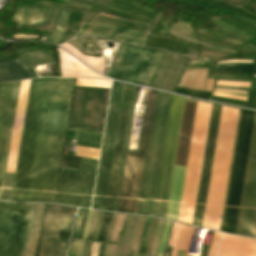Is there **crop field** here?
I'll return each instance as SVG.
<instances>
[{
    "label": "crop field",
    "instance_id": "obj_1",
    "mask_svg": "<svg viewBox=\"0 0 256 256\" xmlns=\"http://www.w3.org/2000/svg\"><path fill=\"white\" fill-rule=\"evenodd\" d=\"M73 82L48 80L28 201L54 202Z\"/></svg>",
    "mask_w": 256,
    "mask_h": 256
},
{
    "label": "crop field",
    "instance_id": "obj_2",
    "mask_svg": "<svg viewBox=\"0 0 256 256\" xmlns=\"http://www.w3.org/2000/svg\"><path fill=\"white\" fill-rule=\"evenodd\" d=\"M48 78L31 80L11 201L27 202Z\"/></svg>",
    "mask_w": 256,
    "mask_h": 256
},
{
    "label": "crop field",
    "instance_id": "obj_3",
    "mask_svg": "<svg viewBox=\"0 0 256 256\" xmlns=\"http://www.w3.org/2000/svg\"><path fill=\"white\" fill-rule=\"evenodd\" d=\"M239 110L222 108L203 226L219 230Z\"/></svg>",
    "mask_w": 256,
    "mask_h": 256
},
{
    "label": "crop field",
    "instance_id": "obj_4",
    "mask_svg": "<svg viewBox=\"0 0 256 256\" xmlns=\"http://www.w3.org/2000/svg\"><path fill=\"white\" fill-rule=\"evenodd\" d=\"M184 101V98L172 95L152 212L153 216L165 218L166 215Z\"/></svg>",
    "mask_w": 256,
    "mask_h": 256
},
{
    "label": "crop field",
    "instance_id": "obj_5",
    "mask_svg": "<svg viewBox=\"0 0 256 256\" xmlns=\"http://www.w3.org/2000/svg\"><path fill=\"white\" fill-rule=\"evenodd\" d=\"M124 87L113 81L92 208L105 207Z\"/></svg>",
    "mask_w": 256,
    "mask_h": 256
},
{
    "label": "crop field",
    "instance_id": "obj_6",
    "mask_svg": "<svg viewBox=\"0 0 256 256\" xmlns=\"http://www.w3.org/2000/svg\"><path fill=\"white\" fill-rule=\"evenodd\" d=\"M75 210L45 204L34 256H65L68 239L67 242L59 239L61 233L70 232Z\"/></svg>",
    "mask_w": 256,
    "mask_h": 256
},
{
    "label": "crop field",
    "instance_id": "obj_7",
    "mask_svg": "<svg viewBox=\"0 0 256 256\" xmlns=\"http://www.w3.org/2000/svg\"><path fill=\"white\" fill-rule=\"evenodd\" d=\"M162 53L124 44L108 76L146 86Z\"/></svg>",
    "mask_w": 256,
    "mask_h": 256
},
{
    "label": "crop field",
    "instance_id": "obj_8",
    "mask_svg": "<svg viewBox=\"0 0 256 256\" xmlns=\"http://www.w3.org/2000/svg\"><path fill=\"white\" fill-rule=\"evenodd\" d=\"M155 91L150 89L139 153L145 154ZM142 154L127 153L117 211L135 214L144 162Z\"/></svg>",
    "mask_w": 256,
    "mask_h": 256
},
{
    "label": "crop field",
    "instance_id": "obj_9",
    "mask_svg": "<svg viewBox=\"0 0 256 256\" xmlns=\"http://www.w3.org/2000/svg\"><path fill=\"white\" fill-rule=\"evenodd\" d=\"M108 92L75 87L69 126L102 132Z\"/></svg>",
    "mask_w": 256,
    "mask_h": 256
},
{
    "label": "crop field",
    "instance_id": "obj_10",
    "mask_svg": "<svg viewBox=\"0 0 256 256\" xmlns=\"http://www.w3.org/2000/svg\"><path fill=\"white\" fill-rule=\"evenodd\" d=\"M96 163L82 158L79 170L62 168L56 203L89 208Z\"/></svg>",
    "mask_w": 256,
    "mask_h": 256
},
{
    "label": "crop field",
    "instance_id": "obj_11",
    "mask_svg": "<svg viewBox=\"0 0 256 256\" xmlns=\"http://www.w3.org/2000/svg\"><path fill=\"white\" fill-rule=\"evenodd\" d=\"M31 204L0 201V256H20Z\"/></svg>",
    "mask_w": 256,
    "mask_h": 256
},
{
    "label": "crop field",
    "instance_id": "obj_12",
    "mask_svg": "<svg viewBox=\"0 0 256 256\" xmlns=\"http://www.w3.org/2000/svg\"><path fill=\"white\" fill-rule=\"evenodd\" d=\"M209 104H197L178 220L189 224Z\"/></svg>",
    "mask_w": 256,
    "mask_h": 256
},
{
    "label": "crop field",
    "instance_id": "obj_13",
    "mask_svg": "<svg viewBox=\"0 0 256 256\" xmlns=\"http://www.w3.org/2000/svg\"><path fill=\"white\" fill-rule=\"evenodd\" d=\"M235 234L256 238V115Z\"/></svg>",
    "mask_w": 256,
    "mask_h": 256
},
{
    "label": "crop field",
    "instance_id": "obj_14",
    "mask_svg": "<svg viewBox=\"0 0 256 256\" xmlns=\"http://www.w3.org/2000/svg\"><path fill=\"white\" fill-rule=\"evenodd\" d=\"M166 94L156 91L136 214L146 215Z\"/></svg>",
    "mask_w": 256,
    "mask_h": 256
},
{
    "label": "crop field",
    "instance_id": "obj_15",
    "mask_svg": "<svg viewBox=\"0 0 256 256\" xmlns=\"http://www.w3.org/2000/svg\"><path fill=\"white\" fill-rule=\"evenodd\" d=\"M195 104L196 102L194 101L186 100L185 102L175 166L185 167V164H186ZM180 167L174 168V174H173V180H172V186H171V192H170V198H169V204H168V210H167V216H166V218H172L176 220L178 217V211H179V205H180V199H181V193H182V187H183V181H184V175H185V169H186V168H180Z\"/></svg>",
    "mask_w": 256,
    "mask_h": 256
},
{
    "label": "crop field",
    "instance_id": "obj_16",
    "mask_svg": "<svg viewBox=\"0 0 256 256\" xmlns=\"http://www.w3.org/2000/svg\"><path fill=\"white\" fill-rule=\"evenodd\" d=\"M221 108L220 105H214L212 104L211 107V113H210V119H209V125H208V131H207V137H206V143H205V149H204V155H203V161H202V167H201V173H200V179H199V185H198V191H197V197H196V203H195V209H194V215H193V225L201 226L203 224V218H204V212H205V206H206V199H207V193H208V187H209V181H210V175H211V168H212V162H213V156H214V150H215V141H216V135L218 130V124L221 114Z\"/></svg>",
    "mask_w": 256,
    "mask_h": 256
},
{
    "label": "crop field",
    "instance_id": "obj_17",
    "mask_svg": "<svg viewBox=\"0 0 256 256\" xmlns=\"http://www.w3.org/2000/svg\"><path fill=\"white\" fill-rule=\"evenodd\" d=\"M254 115H255L254 112H249V111H246V114H245V120H244V126H243V132H242V138H241V144H240V150H239V156H238V162H237V168H236V174H235V180H234V186H233V192H232V198H231V204H230V210H229V216H228V222H227V228H226L227 232H230L233 234L235 232L238 208L240 203L244 173L246 168L249 144H250L253 121H254Z\"/></svg>",
    "mask_w": 256,
    "mask_h": 256
},
{
    "label": "crop field",
    "instance_id": "obj_18",
    "mask_svg": "<svg viewBox=\"0 0 256 256\" xmlns=\"http://www.w3.org/2000/svg\"><path fill=\"white\" fill-rule=\"evenodd\" d=\"M81 35L112 38L141 46H143L144 39V33L142 32L128 30L96 21L90 25L83 24V28L80 30L77 36Z\"/></svg>",
    "mask_w": 256,
    "mask_h": 256
},
{
    "label": "crop field",
    "instance_id": "obj_19",
    "mask_svg": "<svg viewBox=\"0 0 256 256\" xmlns=\"http://www.w3.org/2000/svg\"><path fill=\"white\" fill-rule=\"evenodd\" d=\"M30 80L21 81L6 171L14 172Z\"/></svg>",
    "mask_w": 256,
    "mask_h": 256
},
{
    "label": "crop field",
    "instance_id": "obj_20",
    "mask_svg": "<svg viewBox=\"0 0 256 256\" xmlns=\"http://www.w3.org/2000/svg\"><path fill=\"white\" fill-rule=\"evenodd\" d=\"M19 83H20V81H16V82H12V84H11V90H10L3 138H2V143H1V149H0V197H1V191H2L7 155H8V149H9V143H10L16 101H17V95H18Z\"/></svg>",
    "mask_w": 256,
    "mask_h": 256
},
{
    "label": "crop field",
    "instance_id": "obj_21",
    "mask_svg": "<svg viewBox=\"0 0 256 256\" xmlns=\"http://www.w3.org/2000/svg\"><path fill=\"white\" fill-rule=\"evenodd\" d=\"M52 7L46 6H20L17 8L11 22L18 23L17 29L45 25L50 15Z\"/></svg>",
    "mask_w": 256,
    "mask_h": 256
},
{
    "label": "crop field",
    "instance_id": "obj_22",
    "mask_svg": "<svg viewBox=\"0 0 256 256\" xmlns=\"http://www.w3.org/2000/svg\"><path fill=\"white\" fill-rule=\"evenodd\" d=\"M44 204H32L22 256H33Z\"/></svg>",
    "mask_w": 256,
    "mask_h": 256
},
{
    "label": "crop field",
    "instance_id": "obj_23",
    "mask_svg": "<svg viewBox=\"0 0 256 256\" xmlns=\"http://www.w3.org/2000/svg\"><path fill=\"white\" fill-rule=\"evenodd\" d=\"M138 218L139 216H130L129 218L126 233H125V238L123 242L122 256H130L131 254L133 237H134ZM144 222H145V217H140L138 221L137 229H136L132 252L138 251ZM134 256H137V253H135Z\"/></svg>",
    "mask_w": 256,
    "mask_h": 256
},
{
    "label": "crop field",
    "instance_id": "obj_24",
    "mask_svg": "<svg viewBox=\"0 0 256 256\" xmlns=\"http://www.w3.org/2000/svg\"><path fill=\"white\" fill-rule=\"evenodd\" d=\"M2 69H4V72L1 71ZM34 77L22 58L9 62H0V82Z\"/></svg>",
    "mask_w": 256,
    "mask_h": 256
},
{
    "label": "crop field",
    "instance_id": "obj_25",
    "mask_svg": "<svg viewBox=\"0 0 256 256\" xmlns=\"http://www.w3.org/2000/svg\"><path fill=\"white\" fill-rule=\"evenodd\" d=\"M125 128H126V126H119V129H118V136H117V142H116V148H115V154H114V160H113V166H112V172H111V178H110V184H109V190H108V196H107V202H106V208H105V210H109V211H112V208H113L114 192H115L117 175H118L120 159H121V154H122V143H123Z\"/></svg>",
    "mask_w": 256,
    "mask_h": 256
},
{
    "label": "crop field",
    "instance_id": "obj_26",
    "mask_svg": "<svg viewBox=\"0 0 256 256\" xmlns=\"http://www.w3.org/2000/svg\"><path fill=\"white\" fill-rule=\"evenodd\" d=\"M170 98H171V94L167 93L147 215H151V212H152V206H153V200H154V194H155V188H156V182H157V176H158V170H159V164H160V158H161V152H162L168 110H169V104H170Z\"/></svg>",
    "mask_w": 256,
    "mask_h": 256
},
{
    "label": "crop field",
    "instance_id": "obj_27",
    "mask_svg": "<svg viewBox=\"0 0 256 256\" xmlns=\"http://www.w3.org/2000/svg\"><path fill=\"white\" fill-rule=\"evenodd\" d=\"M191 228L174 222L169 242V245L173 247L171 256H177L178 250H186Z\"/></svg>",
    "mask_w": 256,
    "mask_h": 256
},
{
    "label": "crop field",
    "instance_id": "obj_28",
    "mask_svg": "<svg viewBox=\"0 0 256 256\" xmlns=\"http://www.w3.org/2000/svg\"><path fill=\"white\" fill-rule=\"evenodd\" d=\"M191 72L192 71H185L183 73V75H182V77L180 79V82H179L177 87H182V88H186L187 87V84H188ZM198 72H199V70H196V71L192 72V75H191V78H190V81H189V84H188L187 88L194 90L195 84H196V80H197V76H198ZM201 72H202V70H200V72H199V76H198V80H197V84H196L195 90H197V88H198ZM203 72H204V70H203ZM203 72H202V76H203ZM207 73H208V70H205L204 76H203V80H202V76H201L202 84H201V80H200L201 88H200V84H199V88L202 91L204 89V84H205ZM210 81H211V79L207 78L205 89H204V91H206V92H208ZM213 82H214V79H212V81H211L210 90H209L210 92L213 89ZM199 88H198V90H199Z\"/></svg>",
    "mask_w": 256,
    "mask_h": 256
},
{
    "label": "crop field",
    "instance_id": "obj_29",
    "mask_svg": "<svg viewBox=\"0 0 256 256\" xmlns=\"http://www.w3.org/2000/svg\"><path fill=\"white\" fill-rule=\"evenodd\" d=\"M244 114H245V111L242 110L239 131H238V137H237V143H236V149H235V155H234V161H233V167H232V173H231V179H230V185H229V191H228V197H227V203H226V209H225V215H224V221H223V227H222V231H224V232H225V228H226V222H227V216H228V210H229V204H230V198H231V192H232V186H233V180H234V174H235V168H236L242 126H243V120H244Z\"/></svg>",
    "mask_w": 256,
    "mask_h": 256
},
{
    "label": "crop field",
    "instance_id": "obj_30",
    "mask_svg": "<svg viewBox=\"0 0 256 256\" xmlns=\"http://www.w3.org/2000/svg\"><path fill=\"white\" fill-rule=\"evenodd\" d=\"M10 84L11 82L4 83V84H1V87H0V143H1L3 125L5 120Z\"/></svg>",
    "mask_w": 256,
    "mask_h": 256
},
{
    "label": "crop field",
    "instance_id": "obj_31",
    "mask_svg": "<svg viewBox=\"0 0 256 256\" xmlns=\"http://www.w3.org/2000/svg\"><path fill=\"white\" fill-rule=\"evenodd\" d=\"M60 46L69 50L71 53H73L75 56H77L79 59H81L83 62H85L86 64H88L89 66L94 68L95 70H97L99 72L102 71V68H103V59L102 58L96 59L94 57L83 56L82 54L79 53V51H77L76 49H74L72 46H70L67 43L62 44Z\"/></svg>",
    "mask_w": 256,
    "mask_h": 256
},
{
    "label": "crop field",
    "instance_id": "obj_32",
    "mask_svg": "<svg viewBox=\"0 0 256 256\" xmlns=\"http://www.w3.org/2000/svg\"><path fill=\"white\" fill-rule=\"evenodd\" d=\"M254 65H221L215 66L211 71H242V72H253Z\"/></svg>",
    "mask_w": 256,
    "mask_h": 256
},
{
    "label": "crop field",
    "instance_id": "obj_33",
    "mask_svg": "<svg viewBox=\"0 0 256 256\" xmlns=\"http://www.w3.org/2000/svg\"><path fill=\"white\" fill-rule=\"evenodd\" d=\"M68 12L69 10H66V9H63V12H62V16H61V19L57 25V28L53 34V38H52V43H58L62 33H63V30H64V25L66 23V20H67V16H68Z\"/></svg>",
    "mask_w": 256,
    "mask_h": 256
},
{
    "label": "crop field",
    "instance_id": "obj_34",
    "mask_svg": "<svg viewBox=\"0 0 256 256\" xmlns=\"http://www.w3.org/2000/svg\"><path fill=\"white\" fill-rule=\"evenodd\" d=\"M78 80L79 79H77L75 86H77ZM108 82L109 81L80 79L78 86L107 88ZM110 83H111V81H110ZM110 83H109V87H110Z\"/></svg>",
    "mask_w": 256,
    "mask_h": 256
},
{
    "label": "crop field",
    "instance_id": "obj_35",
    "mask_svg": "<svg viewBox=\"0 0 256 256\" xmlns=\"http://www.w3.org/2000/svg\"><path fill=\"white\" fill-rule=\"evenodd\" d=\"M151 220H152V218H149V217L146 220L141 243H140V248H139V256H144V252H145L147 240H148V235H149V230H150V225H151Z\"/></svg>",
    "mask_w": 256,
    "mask_h": 256
},
{
    "label": "crop field",
    "instance_id": "obj_36",
    "mask_svg": "<svg viewBox=\"0 0 256 256\" xmlns=\"http://www.w3.org/2000/svg\"><path fill=\"white\" fill-rule=\"evenodd\" d=\"M127 142H128V139H125L113 211H116V208H117V202H118V196H119V190H120V184H121V178H122V172H123V166H124V160H125V154H126V148H127Z\"/></svg>",
    "mask_w": 256,
    "mask_h": 256
},
{
    "label": "crop field",
    "instance_id": "obj_37",
    "mask_svg": "<svg viewBox=\"0 0 256 256\" xmlns=\"http://www.w3.org/2000/svg\"><path fill=\"white\" fill-rule=\"evenodd\" d=\"M111 215H112V213L105 212L103 222L101 225V229H100V233H99V237L97 239L98 241L105 240L106 233H107L108 226H109L110 219H111Z\"/></svg>",
    "mask_w": 256,
    "mask_h": 256
},
{
    "label": "crop field",
    "instance_id": "obj_38",
    "mask_svg": "<svg viewBox=\"0 0 256 256\" xmlns=\"http://www.w3.org/2000/svg\"><path fill=\"white\" fill-rule=\"evenodd\" d=\"M99 150L77 146L76 155L98 159Z\"/></svg>",
    "mask_w": 256,
    "mask_h": 256
},
{
    "label": "crop field",
    "instance_id": "obj_39",
    "mask_svg": "<svg viewBox=\"0 0 256 256\" xmlns=\"http://www.w3.org/2000/svg\"><path fill=\"white\" fill-rule=\"evenodd\" d=\"M174 92L193 96V97L204 98V99H208V97L210 95V93H206V92L192 91V90H188V89H179V88H176L174 90Z\"/></svg>",
    "mask_w": 256,
    "mask_h": 256
},
{
    "label": "crop field",
    "instance_id": "obj_40",
    "mask_svg": "<svg viewBox=\"0 0 256 256\" xmlns=\"http://www.w3.org/2000/svg\"><path fill=\"white\" fill-rule=\"evenodd\" d=\"M158 221H159V219L153 218L146 256H150L152 242H153L154 234H155L156 229H157Z\"/></svg>",
    "mask_w": 256,
    "mask_h": 256
},
{
    "label": "crop field",
    "instance_id": "obj_41",
    "mask_svg": "<svg viewBox=\"0 0 256 256\" xmlns=\"http://www.w3.org/2000/svg\"><path fill=\"white\" fill-rule=\"evenodd\" d=\"M121 234H118L117 238V245H116V250H115V244H111V249H110V244H106V255L109 256V249H110V256H114V250H115V256H119V247H120V241H121Z\"/></svg>",
    "mask_w": 256,
    "mask_h": 256
},
{
    "label": "crop field",
    "instance_id": "obj_42",
    "mask_svg": "<svg viewBox=\"0 0 256 256\" xmlns=\"http://www.w3.org/2000/svg\"><path fill=\"white\" fill-rule=\"evenodd\" d=\"M220 235H221L220 233L214 232L212 242H211V246H210L209 251H208V256H215V252H216L217 245H218V242H219V239H220Z\"/></svg>",
    "mask_w": 256,
    "mask_h": 256
},
{
    "label": "crop field",
    "instance_id": "obj_43",
    "mask_svg": "<svg viewBox=\"0 0 256 256\" xmlns=\"http://www.w3.org/2000/svg\"><path fill=\"white\" fill-rule=\"evenodd\" d=\"M170 223L171 222H169V221L166 222V226H165L163 238H162V241H161V244H160L158 256H163L164 248H165V244H166V240H167V235H168V231H169V227H170Z\"/></svg>",
    "mask_w": 256,
    "mask_h": 256
},
{
    "label": "crop field",
    "instance_id": "obj_44",
    "mask_svg": "<svg viewBox=\"0 0 256 256\" xmlns=\"http://www.w3.org/2000/svg\"><path fill=\"white\" fill-rule=\"evenodd\" d=\"M121 216H122V215H120V214H118V216H117V220H116V224H115V229H114L113 237H112V239H111L110 242H115V240H116L117 231H118L119 223H120V220H121ZM124 216H125V215L122 216V220H121V223H120V227H119V231H118V232L121 231V227H122V224H123Z\"/></svg>",
    "mask_w": 256,
    "mask_h": 256
},
{
    "label": "crop field",
    "instance_id": "obj_45",
    "mask_svg": "<svg viewBox=\"0 0 256 256\" xmlns=\"http://www.w3.org/2000/svg\"><path fill=\"white\" fill-rule=\"evenodd\" d=\"M98 213H99L98 211H94L93 212V216H92V220H91V224H90V228H89V233H88L87 239H90V240L92 239V235H93L94 228H95V225H96Z\"/></svg>",
    "mask_w": 256,
    "mask_h": 256
},
{
    "label": "crop field",
    "instance_id": "obj_46",
    "mask_svg": "<svg viewBox=\"0 0 256 256\" xmlns=\"http://www.w3.org/2000/svg\"><path fill=\"white\" fill-rule=\"evenodd\" d=\"M217 83V81H216ZM248 83H241V82H225V81H218L217 85H223V86H236V87H246ZM250 86V83L247 87Z\"/></svg>",
    "mask_w": 256,
    "mask_h": 256
},
{
    "label": "crop field",
    "instance_id": "obj_47",
    "mask_svg": "<svg viewBox=\"0 0 256 256\" xmlns=\"http://www.w3.org/2000/svg\"><path fill=\"white\" fill-rule=\"evenodd\" d=\"M80 241L81 240H75V241L72 242L70 252H69L70 256H77Z\"/></svg>",
    "mask_w": 256,
    "mask_h": 256
},
{
    "label": "crop field",
    "instance_id": "obj_48",
    "mask_svg": "<svg viewBox=\"0 0 256 256\" xmlns=\"http://www.w3.org/2000/svg\"><path fill=\"white\" fill-rule=\"evenodd\" d=\"M240 113H241V110H240ZM240 113H239V119H240ZM239 119H238V125H239ZM238 125H237V131H238ZM237 131H236V137H237ZM236 137H235V143H236ZM235 143H234V149H235ZM234 149H233V155H234ZM233 155H232V161H233ZM232 161H231V167H232ZM231 167H230V173H231ZM230 173H229V179H230ZM229 179H228V185H229ZM228 185H227V191H228ZM227 191H226V197H227ZM226 197H225V203H226ZM225 203H224V209H225ZM224 209H223V215H224ZM223 215H222L220 230L222 227Z\"/></svg>",
    "mask_w": 256,
    "mask_h": 256
},
{
    "label": "crop field",
    "instance_id": "obj_49",
    "mask_svg": "<svg viewBox=\"0 0 256 256\" xmlns=\"http://www.w3.org/2000/svg\"><path fill=\"white\" fill-rule=\"evenodd\" d=\"M211 107V104H210ZM210 107H209V113H210ZM209 113H208V119H209ZM208 119H207V125H208ZM207 125H206V131H207ZM206 131H205V137H206ZM205 137H204V143H205ZM204 143H203V149H204ZM203 149H202V155H203ZM202 155H201V161H202ZM201 161H200V167H201ZM200 167H199V173H200ZM199 173H198V179H199ZM198 179H197V185H198ZM197 185H196V191H197ZM196 191H195V197H196ZM195 197H194V203H195ZM194 203H193V209H194ZM193 209H192V215H193ZM192 215H191V221H192ZM190 221V224H191Z\"/></svg>",
    "mask_w": 256,
    "mask_h": 256
},
{
    "label": "crop field",
    "instance_id": "obj_50",
    "mask_svg": "<svg viewBox=\"0 0 256 256\" xmlns=\"http://www.w3.org/2000/svg\"><path fill=\"white\" fill-rule=\"evenodd\" d=\"M82 211H83V209H79V211H78L77 221H76L75 230H74V234H73L72 238H76V236H77V232H78V228H79V224H80V220H81Z\"/></svg>",
    "mask_w": 256,
    "mask_h": 256
},
{
    "label": "crop field",
    "instance_id": "obj_51",
    "mask_svg": "<svg viewBox=\"0 0 256 256\" xmlns=\"http://www.w3.org/2000/svg\"><path fill=\"white\" fill-rule=\"evenodd\" d=\"M92 212L93 211L89 210V214H88V217H87V221H86V224H85V228H84V232H83V237L82 238H86L87 237V233H88V228H89V223H90Z\"/></svg>",
    "mask_w": 256,
    "mask_h": 256
},
{
    "label": "crop field",
    "instance_id": "obj_52",
    "mask_svg": "<svg viewBox=\"0 0 256 256\" xmlns=\"http://www.w3.org/2000/svg\"><path fill=\"white\" fill-rule=\"evenodd\" d=\"M161 219H160V222H159V226H158V230H157V233H156V236H155V241H154V249L156 248V244H157V240H158V236H159V230H160V224H161ZM163 222V221H162ZM165 222V220H164ZM162 225V224H161ZM163 226H164V223H163ZM162 230H163V227H162ZM161 231V230H160ZM161 234H162V231H161ZM160 238H161V235H160ZM159 242H160V239H159ZM158 246H159V243H158ZM158 246H157V250H158ZM156 255H157V251H156Z\"/></svg>",
    "mask_w": 256,
    "mask_h": 256
},
{
    "label": "crop field",
    "instance_id": "obj_53",
    "mask_svg": "<svg viewBox=\"0 0 256 256\" xmlns=\"http://www.w3.org/2000/svg\"><path fill=\"white\" fill-rule=\"evenodd\" d=\"M204 53H210V54H217V55H223V56H228V55H225V54H218V53H212V52H206V51H202ZM204 53H201L200 54V57H216V58H221L223 56H217V55H210V54H204Z\"/></svg>",
    "mask_w": 256,
    "mask_h": 256
},
{
    "label": "crop field",
    "instance_id": "obj_54",
    "mask_svg": "<svg viewBox=\"0 0 256 256\" xmlns=\"http://www.w3.org/2000/svg\"><path fill=\"white\" fill-rule=\"evenodd\" d=\"M100 213H101V212H100ZM103 213H104V212H102V213H101V217H100V214H99L100 221H99V218H98L99 224H98V221H97L98 228H97V225H96L97 232H96V235H95V233H94V235H95V239H94V237H93V239H94V240H96V239H97V235H98V232H99V229H100V225H101V221H102ZM96 228H95V231H96Z\"/></svg>",
    "mask_w": 256,
    "mask_h": 256
},
{
    "label": "crop field",
    "instance_id": "obj_55",
    "mask_svg": "<svg viewBox=\"0 0 256 256\" xmlns=\"http://www.w3.org/2000/svg\"><path fill=\"white\" fill-rule=\"evenodd\" d=\"M91 244H92L91 241H87L86 247H85V251H84V255H83V256H88V255H89V251H90V248H91Z\"/></svg>",
    "mask_w": 256,
    "mask_h": 256
},
{
    "label": "crop field",
    "instance_id": "obj_56",
    "mask_svg": "<svg viewBox=\"0 0 256 256\" xmlns=\"http://www.w3.org/2000/svg\"><path fill=\"white\" fill-rule=\"evenodd\" d=\"M229 62H243V63H254V61H243V60H229V61H221V62H218L217 64H221V63H229Z\"/></svg>",
    "mask_w": 256,
    "mask_h": 256
},
{
    "label": "crop field",
    "instance_id": "obj_57",
    "mask_svg": "<svg viewBox=\"0 0 256 256\" xmlns=\"http://www.w3.org/2000/svg\"><path fill=\"white\" fill-rule=\"evenodd\" d=\"M215 90H219V91H227V92H235V93H243V94H247L248 91H233V90H225V89H218L215 88Z\"/></svg>",
    "mask_w": 256,
    "mask_h": 256
},
{
    "label": "crop field",
    "instance_id": "obj_58",
    "mask_svg": "<svg viewBox=\"0 0 256 256\" xmlns=\"http://www.w3.org/2000/svg\"><path fill=\"white\" fill-rule=\"evenodd\" d=\"M85 242L86 241L82 240L78 256H82L83 250H84V246H85Z\"/></svg>",
    "mask_w": 256,
    "mask_h": 256
},
{
    "label": "crop field",
    "instance_id": "obj_59",
    "mask_svg": "<svg viewBox=\"0 0 256 256\" xmlns=\"http://www.w3.org/2000/svg\"><path fill=\"white\" fill-rule=\"evenodd\" d=\"M216 93H223V94H230V95H237V96H244L247 97V95H243V94H235V93H226V92H218V91H214Z\"/></svg>",
    "mask_w": 256,
    "mask_h": 256
},
{
    "label": "crop field",
    "instance_id": "obj_60",
    "mask_svg": "<svg viewBox=\"0 0 256 256\" xmlns=\"http://www.w3.org/2000/svg\"><path fill=\"white\" fill-rule=\"evenodd\" d=\"M114 213H113V215H112V220H111V223H110V226H109V230H108V233H107V237H106V242H107V240H108V236H109V232H110V228H111V225H112V222H113V218H114Z\"/></svg>",
    "mask_w": 256,
    "mask_h": 256
},
{
    "label": "crop field",
    "instance_id": "obj_61",
    "mask_svg": "<svg viewBox=\"0 0 256 256\" xmlns=\"http://www.w3.org/2000/svg\"><path fill=\"white\" fill-rule=\"evenodd\" d=\"M116 216H117V214L115 215V219H114V223H113V226H112V229H111L109 241H110V239H111V237H112V232H113V227H114V224H115ZM109 241H108V242H109Z\"/></svg>",
    "mask_w": 256,
    "mask_h": 256
},
{
    "label": "crop field",
    "instance_id": "obj_62",
    "mask_svg": "<svg viewBox=\"0 0 256 256\" xmlns=\"http://www.w3.org/2000/svg\"><path fill=\"white\" fill-rule=\"evenodd\" d=\"M128 217H129V216H128ZM128 217H127V221H128ZM126 225H127V223H126ZM125 229H126V227H125ZM124 233H125V230H124ZM123 237H124V234H123ZM123 237H122V241H121L120 256H121V251H122Z\"/></svg>",
    "mask_w": 256,
    "mask_h": 256
},
{
    "label": "crop field",
    "instance_id": "obj_63",
    "mask_svg": "<svg viewBox=\"0 0 256 256\" xmlns=\"http://www.w3.org/2000/svg\"><path fill=\"white\" fill-rule=\"evenodd\" d=\"M193 229H194V228H193ZM193 229H192V233H193ZM192 233H191V237H192ZM191 237H190V240H189V244H188V247H187V250H186V254H185V256H187V254H188V249H189V245H190Z\"/></svg>",
    "mask_w": 256,
    "mask_h": 256
},
{
    "label": "crop field",
    "instance_id": "obj_64",
    "mask_svg": "<svg viewBox=\"0 0 256 256\" xmlns=\"http://www.w3.org/2000/svg\"><path fill=\"white\" fill-rule=\"evenodd\" d=\"M255 74H256V71H255Z\"/></svg>",
    "mask_w": 256,
    "mask_h": 256
}]
</instances>
